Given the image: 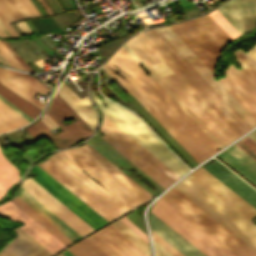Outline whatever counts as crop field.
Wrapping results in <instances>:
<instances>
[{
  "instance_id": "1",
  "label": "crop field",
  "mask_w": 256,
  "mask_h": 256,
  "mask_svg": "<svg viewBox=\"0 0 256 256\" xmlns=\"http://www.w3.org/2000/svg\"><path fill=\"white\" fill-rule=\"evenodd\" d=\"M101 113L175 171L181 177L189 168L177 160L168 148L144 125V123L129 110L102 98L107 107L100 102L99 98L91 90ZM103 116L101 131L106 142L133 162L137 167L154 179L165 189L177 181L180 176Z\"/></svg>"
},
{
  "instance_id": "2",
  "label": "crop field",
  "mask_w": 256,
  "mask_h": 256,
  "mask_svg": "<svg viewBox=\"0 0 256 256\" xmlns=\"http://www.w3.org/2000/svg\"><path fill=\"white\" fill-rule=\"evenodd\" d=\"M126 43L225 146L239 138L140 34Z\"/></svg>"
},
{
  "instance_id": "3",
  "label": "crop field",
  "mask_w": 256,
  "mask_h": 256,
  "mask_svg": "<svg viewBox=\"0 0 256 256\" xmlns=\"http://www.w3.org/2000/svg\"><path fill=\"white\" fill-rule=\"evenodd\" d=\"M62 153L130 209L153 197L87 143Z\"/></svg>"
},
{
  "instance_id": "4",
  "label": "crop field",
  "mask_w": 256,
  "mask_h": 256,
  "mask_svg": "<svg viewBox=\"0 0 256 256\" xmlns=\"http://www.w3.org/2000/svg\"><path fill=\"white\" fill-rule=\"evenodd\" d=\"M256 251V227L190 175L174 187Z\"/></svg>"
},
{
  "instance_id": "5",
  "label": "crop field",
  "mask_w": 256,
  "mask_h": 256,
  "mask_svg": "<svg viewBox=\"0 0 256 256\" xmlns=\"http://www.w3.org/2000/svg\"><path fill=\"white\" fill-rule=\"evenodd\" d=\"M169 28L214 73L220 51L233 41L209 15L176 23Z\"/></svg>"
},
{
  "instance_id": "6",
  "label": "crop field",
  "mask_w": 256,
  "mask_h": 256,
  "mask_svg": "<svg viewBox=\"0 0 256 256\" xmlns=\"http://www.w3.org/2000/svg\"><path fill=\"white\" fill-rule=\"evenodd\" d=\"M153 31L249 130L256 125V120L237 100L218 81L213 80L216 75L168 27L153 29Z\"/></svg>"
},
{
  "instance_id": "7",
  "label": "crop field",
  "mask_w": 256,
  "mask_h": 256,
  "mask_svg": "<svg viewBox=\"0 0 256 256\" xmlns=\"http://www.w3.org/2000/svg\"><path fill=\"white\" fill-rule=\"evenodd\" d=\"M161 198L167 201L170 205L176 208L236 256H256V252L241 242L174 188L164 194Z\"/></svg>"
},
{
  "instance_id": "8",
  "label": "crop field",
  "mask_w": 256,
  "mask_h": 256,
  "mask_svg": "<svg viewBox=\"0 0 256 256\" xmlns=\"http://www.w3.org/2000/svg\"><path fill=\"white\" fill-rule=\"evenodd\" d=\"M162 199L156 201L151 212L194 246L207 256H235Z\"/></svg>"
},
{
  "instance_id": "9",
  "label": "crop field",
  "mask_w": 256,
  "mask_h": 256,
  "mask_svg": "<svg viewBox=\"0 0 256 256\" xmlns=\"http://www.w3.org/2000/svg\"><path fill=\"white\" fill-rule=\"evenodd\" d=\"M141 35L153 48L178 72V74L203 98V100L228 124L240 137L248 132L232 114L199 82V80L166 48L151 32ZM150 45V46H151Z\"/></svg>"
},
{
  "instance_id": "10",
  "label": "crop field",
  "mask_w": 256,
  "mask_h": 256,
  "mask_svg": "<svg viewBox=\"0 0 256 256\" xmlns=\"http://www.w3.org/2000/svg\"><path fill=\"white\" fill-rule=\"evenodd\" d=\"M31 170L38 176L34 178L37 183L87 222L91 227L96 229L108 223L63 185L56 181L52 176L45 172L41 167L36 165L32 167Z\"/></svg>"
},
{
  "instance_id": "11",
  "label": "crop field",
  "mask_w": 256,
  "mask_h": 256,
  "mask_svg": "<svg viewBox=\"0 0 256 256\" xmlns=\"http://www.w3.org/2000/svg\"><path fill=\"white\" fill-rule=\"evenodd\" d=\"M39 166H41L45 171L52 175L56 180L63 184L108 222L120 216L49 158L47 161L39 164Z\"/></svg>"
},
{
  "instance_id": "12",
  "label": "crop field",
  "mask_w": 256,
  "mask_h": 256,
  "mask_svg": "<svg viewBox=\"0 0 256 256\" xmlns=\"http://www.w3.org/2000/svg\"><path fill=\"white\" fill-rule=\"evenodd\" d=\"M218 81L256 119V83L243 71L232 64Z\"/></svg>"
},
{
  "instance_id": "13",
  "label": "crop field",
  "mask_w": 256,
  "mask_h": 256,
  "mask_svg": "<svg viewBox=\"0 0 256 256\" xmlns=\"http://www.w3.org/2000/svg\"><path fill=\"white\" fill-rule=\"evenodd\" d=\"M21 187L82 236L94 230L31 178L23 180Z\"/></svg>"
},
{
  "instance_id": "14",
  "label": "crop field",
  "mask_w": 256,
  "mask_h": 256,
  "mask_svg": "<svg viewBox=\"0 0 256 256\" xmlns=\"http://www.w3.org/2000/svg\"><path fill=\"white\" fill-rule=\"evenodd\" d=\"M235 145L256 160V142L251 138L247 136ZM235 145L223 151L218 156L256 186V161Z\"/></svg>"
},
{
  "instance_id": "15",
  "label": "crop field",
  "mask_w": 256,
  "mask_h": 256,
  "mask_svg": "<svg viewBox=\"0 0 256 256\" xmlns=\"http://www.w3.org/2000/svg\"><path fill=\"white\" fill-rule=\"evenodd\" d=\"M0 216L12 221H22L24 225L20 228L53 254L66 247L10 201L0 206Z\"/></svg>"
},
{
  "instance_id": "16",
  "label": "crop field",
  "mask_w": 256,
  "mask_h": 256,
  "mask_svg": "<svg viewBox=\"0 0 256 256\" xmlns=\"http://www.w3.org/2000/svg\"><path fill=\"white\" fill-rule=\"evenodd\" d=\"M190 175L249 221L256 215V209L254 207H252L249 203L243 200L240 196L230 190L202 167Z\"/></svg>"
},
{
  "instance_id": "17",
  "label": "crop field",
  "mask_w": 256,
  "mask_h": 256,
  "mask_svg": "<svg viewBox=\"0 0 256 256\" xmlns=\"http://www.w3.org/2000/svg\"><path fill=\"white\" fill-rule=\"evenodd\" d=\"M216 10L240 34L256 27V0H231Z\"/></svg>"
},
{
  "instance_id": "18",
  "label": "crop field",
  "mask_w": 256,
  "mask_h": 256,
  "mask_svg": "<svg viewBox=\"0 0 256 256\" xmlns=\"http://www.w3.org/2000/svg\"><path fill=\"white\" fill-rule=\"evenodd\" d=\"M0 83L41 110L44 107V104L40 103L32 95L37 91L46 93L49 88L38 82L37 79L29 76L27 73L0 68Z\"/></svg>"
},
{
  "instance_id": "19",
  "label": "crop field",
  "mask_w": 256,
  "mask_h": 256,
  "mask_svg": "<svg viewBox=\"0 0 256 256\" xmlns=\"http://www.w3.org/2000/svg\"><path fill=\"white\" fill-rule=\"evenodd\" d=\"M65 171H67L71 176L103 200L107 205L114 209L120 215L130 210L115 197L109 194L101 186L95 183L90 177H88L80 168H78L74 163L65 158L60 152L54 153L49 157Z\"/></svg>"
},
{
  "instance_id": "20",
  "label": "crop field",
  "mask_w": 256,
  "mask_h": 256,
  "mask_svg": "<svg viewBox=\"0 0 256 256\" xmlns=\"http://www.w3.org/2000/svg\"><path fill=\"white\" fill-rule=\"evenodd\" d=\"M256 208V191L215 159L202 166Z\"/></svg>"
},
{
  "instance_id": "21",
  "label": "crop field",
  "mask_w": 256,
  "mask_h": 256,
  "mask_svg": "<svg viewBox=\"0 0 256 256\" xmlns=\"http://www.w3.org/2000/svg\"><path fill=\"white\" fill-rule=\"evenodd\" d=\"M19 236L9 242L1 251L0 256H52L47 249L30 237L19 227L14 229Z\"/></svg>"
},
{
  "instance_id": "22",
  "label": "crop field",
  "mask_w": 256,
  "mask_h": 256,
  "mask_svg": "<svg viewBox=\"0 0 256 256\" xmlns=\"http://www.w3.org/2000/svg\"><path fill=\"white\" fill-rule=\"evenodd\" d=\"M53 119V121L59 126L61 127L63 130L57 132V133H53L51 130L54 129V127H58L52 120L51 118L47 115V114ZM45 113V115L39 119L41 122H43L47 127V128L43 123H41L40 121L35 122L33 125L48 139L50 140L55 147H65V146H70L72 145L74 142H76L78 139L71 133V131L54 115V113L48 108L47 112ZM48 120L53 124V126L46 120L47 118ZM46 119H45V118Z\"/></svg>"
},
{
  "instance_id": "23",
  "label": "crop field",
  "mask_w": 256,
  "mask_h": 256,
  "mask_svg": "<svg viewBox=\"0 0 256 256\" xmlns=\"http://www.w3.org/2000/svg\"><path fill=\"white\" fill-rule=\"evenodd\" d=\"M150 226L185 256H206L152 213H150Z\"/></svg>"
},
{
  "instance_id": "24",
  "label": "crop field",
  "mask_w": 256,
  "mask_h": 256,
  "mask_svg": "<svg viewBox=\"0 0 256 256\" xmlns=\"http://www.w3.org/2000/svg\"><path fill=\"white\" fill-rule=\"evenodd\" d=\"M56 93L94 130L97 118L88 97L79 100L63 82Z\"/></svg>"
},
{
  "instance_id": "25",
  "label": "crop field",
  "mask_w": 256,
  "mask_h": 256,
  "mask_svg": "<svg viewBox=\"0 0 256 256\" xmlns=\"http://www.w3.org/2000/svg\"><path fill=\"white\" fill-rule=\"evenodd\" d=\"M49 108L61 121L69 117L74 118L75 121L67 124V126L79 140L86 138L93 132L57 94H55Z\"/></svg>"
},
{
  "instance_id": "26",
  "label": "crop field",
  "mask_w": 256,
  "mask_h": 256,
  "mask_svg": "<svg viewBox=\"0 0 256 256\" xmlns=\"http://www.w3.org/2000/svg\"><path fill=\"white\" fill-rule=\"evenodd\" d=\"M17 196L25 201L28 205H30L34 210H36L39 214H41L73 241L82 237L50 210H48L45 206H43L40 202H38L34 197L27 193L24 189L21 188Z\"/></svg>"
},
{
  "instance_id": "27",
  "label": "crop field",
  "mask_w": 256,
  "mask_h": 256,
  "mask_svg": "<svg viewBox=\"0 0 256 256\" xmlns=\"http://www.w3.org/2000/svg\"><path fill=\"white\" fill-rule=\"evenodd\" d=\"M139 64H141L151 77L169 94V96L204 130V132L222 149L225 146L212 134V132L187 108V106L162 82V80L137 56L125 43L122 46Z\"/></svg>"
},
{
  "instance_id": "28",
  "label": "crop field",
  "mask_w": 256,
  "mask_h": 256,
  "mask_svg": "<svg viewBox=\"0 0 256 256\" xmlns=\"http://www.w3.org/2000/svg\"><path fill=\"white\" fill-rule=\"evenodd\" d=\"M86 238L107 256H134L103 229Z\"/></svg>"
},
{
  "instance_id": "29",
  "label": "crop field",
  "mask_w": 256,
  "mask_h": 256,
  "mask_svg": "<svg viewBox=\"0 0 256 256\" xmlns=\"http://www.w3.org/2000/svg\"><path fill=\"white\" fill-rule=\"evenodd\" d=\"M11 202H13L16 206H18L21 210H23L27 215H29L32 219H34L37 223H39L42 227H44L47 231H49L53 236H55L66 246L69 243L73 242L62 232H60L56 227H54L51 223H49L46 219H44L41 215H39L36 211H34L30 206L23 202L20 198L16 197L15 199L11 200Z\"/></svg>"
},
{
  "instance_id": "30",
  "label": "crop field",
  "mask_w": 256,
  "mask_h": 256,
  "mask_svg": "<svg viewBox=\"0 0 256 256\" xmlns=\"http://www.w3.org/2000/svg\"><path fill=\"white\" fill-rule=\"evenodd\" d=\"M29 123L0 100V134Z\"/></svg>"
},
{
  "instance_id": "31",
  "label": "crop field",
  "mask_w": 256,
  "mask_h": 256,
  "mask_svg": "<svg viewBox=\"0 0 256 256\" xmlns=\"http://www.w3.org/2000/svg\"><path fill=\"white\" fill-rule=\"evenodd\" d=\"M18 180L17 169L3 157L0 151V199L4 197L7 189Z\"/></svg>"
},
{
  "instance_id": "32",
  "label": "crop field",
  "mask_w": 256,
  "mask_h": 256,
  "mask_svg": "<svg viewBox=\"0 0 256 256\" xmlns=\"http://www.w3.org/2000/svg\"><path fill=\"white\" fill-rule=\"evenodd\" d=\"M0 94L33 119L41 111V110L34 107L32 104H30L29 102H27L23 98L19 97L18 95H16L15 93H13L12 91H10L9 89H7L6 87H4L1 84H0Z\"/></svg>"
},
{
  "instance_id": "33",
  "label": "crop field",
  "mask_w": 256,
  "mask_h": 256,
  "mask_svg": "<svg viewBox=\"0 0 256 256\" xmlns=\"http://www.w3.org/2000/svg\"><path fill=\"white\" fill-rule=\"evenodd\" d=\"M67 249L75 256H106L86 238Z\"/></svg>"
},
{
  "instance_id": "34",
  "label": "crop field",
  "mask_w": 256,
  "mask_h": 256,
  "mask_svg": "<svg viewBox=\"0 0 256 256\" xmlns=\"http://www.w3.org/2000/svg\"><path fill=\"white\" fill-rule=\"evenodd\" d=\"M111 224L115 226L121 233H123L129 240H131L137 247H139L145 254L148 256L150 255L148 244L120 219Z\"/></svg>"
},
{
  "instance_id": "35",
  "label": "crop field",
  "mask_w": 256,
  "mask_h": 256,
  "mask_svg": "<svg viewBox=\"0 0 256 256\" xmlns=\"http://www.w3.org/2000/svg\"><path fill=\"white\" fill-rule=\"evenodd\" d=\"M103 229L113 236L117 241H119L123 246H125L129 251H131L135 256H147L111 224Z\"/></svg>"
},
{
  "instance_id": "36",
  "label": "crop field",
  "mask_w": 256,
  "mask_h": 256,
  "mask_svg": "<svg viewBox=\"0 0 256 256\" xmlns=\"http://www.w3.org/2000/svg\"><path fill=\"white\" fill-rule=\"evenodd\" d=\"M209 15L233 40L240 35L216 10L210 12Z\"/></svg>"
},
{
  "instance_id": "37",
  "label": "crop field",
  "mask_w": 256,
  "mask_h": 256,
  "mask_svg": "<svg viewBox=\"0 0 256 256\" xmlns=\"http://www.w3.org/2000/svg\"><path fill=\"white\" fill-rule=\"evenodd\" d=\"M15 20L28 17L17 0H2Z\"/></svg>"
},
{
  "instance_id": "38",
  "label": "crop field",
  "mask_w": 256,
  "mask_h": 256,
  "mask_svg": "<svg viewBox=\"0 0 256 256\" xmlns=\"http://www.w3.org/2000/svg\"><path fill=\"white\" fill-rule=\"evenodd\" d=\"M0 20L6 27V29L9 31V33L12 35H18L13 28L7 23L11 21H15L14 18L11 16L7 8L4 6L2 1L0 0Z\"/></svg>"
},
{
  "instance_id": "39",
  "label": "crop field",
  "mask_w": 256,
  "mask_h": 256,
  "mask_svg": "<svg viewBox=\"0 0 256 256\" xmlns=\"http://www.w3.org/2000/svg\"><path fill=\"white\" fill-rule=\"evenodd\" d=\"M0 53L5 57V59L11 64L12 67L25 70L19 62L13 57V55L8 51V49L0 41ZM27 71V70H26Z\"/></svg>"
},
{
  "instance_id": "40",
  "label": "crop field",
  "mask_w": 256,
  "mask_h": 256,
  "mask_svg": "<svg viewBox=\"0 0 256 256\" xmlns=\"http://www.w3.org/2000/svg\"><path fill=\"white\" fill-rule=\"evenodd\" d=\"M29 17L39 16L40 13L30 0H18Z\"/></svg>"
},
{
  "instance_id": "41",
  "label": "crop field",
  "mask_w": 256,
  "mask_h": 256,
  "mask_svg": "<svg viewBox=\"0 0 256 256\" xmlns=\"http://www.w3.org/2000/svg\"><path fill=\"white\" fill-rule=\"evenodd\" d=\"M238 52L251 64V66L256 70V47L246 53L242 49Z\"/></svg>"
},
{
  "instance_id": "42",
  "label": "crop field",
  "mask_w": 256,
  "mask_h": 256,
  "mask_svg": "<svg viewBox=\"0 0 256 256\" xmlns=\"http://www.w3.org/2000/svg\"><path fill=\"white\" fill-rule=\"evenodd\" d=\"M152 234H153L154 239H156L159 243H161L163 246H165L173 254H175L176 256H184L182 253H180L178 250H176L173 246H171L169 243H167L164 239H162L155 232L152 231Z\"/></svg>"
},
{
  "instance_id": "43",
  "label": "crop field",
  "mask_w": 256,
  "mask_h": 256,
  "mask_svg": "<svg viewBox=\"0 0 256 256\" xmlns=\"http://www.w3.org/2000/svg\"><path fill=\"white\" fill-rule=\"evenodd\" d=\"M3 42V44L9 49V51L14 55V57L20 62V64L26 68L28 71L30 72H35L33 71L30 67H28L23 61L22 59L17 55V53L10 47V45L7 43L6 40H1Z\"/></svg>"
},
{
  "instance_id": "44",
  "label": "crop field",
  "mask_w": 256,
  "mask_h": 256,
  "mask_svg": "<svg viewBox=\"0 0 256 256\" xmlns=\"http://www.w3.org/2000/svg\"><path fill=\"white\" fill-rule=\"evenodd\" d=\"M121 220L125 222L133 231H135L143 240L148 243L146 235L142 233L137 227H135L129 220H127L125 217L121 218Z\"/></svg>"
},
{
  "instance_id": "45",
  "label": "crop field",
  "mask_w": 256,
  "mask_h": 256,
  "mask_svg": "<svg viewBox=\"0 0 256 256\" xmlns=\"http://www.w3.org/2000/svg\"><path fill=\"white\" fill-rule=\"evenodd\" d=\"M25 129L28 131V133L33 137V139H34L35 141L38 140V139H40L41 137H43V136L40 134V132H39L33 125H31V126L25 128Z\"/></svg>"
},
{
  "instance_id": "46",
  "label": "crop field",
  "mask_w": 256,
  "mask_h": 256,
  "mask_svg": "<svg viewBox=\"0 0 256 256\" xmlns=\"http://www.w3.org/2000/svg\"><path fill=\"white\" fill-rule=\"evenodd\" d=\"M156 251H157V256H174L170 252H168L165 248H163L160 244H158L156 241H154Z\"/></svg>"
},
{
  "instance_id": "47",
  "label": "crop field",
  "mask_w": 256,
  "mask_h": 256,
  "mask_svg": "<svg viewBox=\"0 0 256 256\" xmlns=\"http://www.w3.org/2000/svg\"><path fill=\"white\" fill-rule=\"evenodd\" d=\"M0 99L5 102L8 106H10L13 110H15L17 113H19L22 117H24L26 120H28L29 122L32 120L31 118H29L27 115H25L23 112H21L19 109H17L16 107H14L12 104H10L9 102H7L5 99H3L2 97H0Z\"/></svg>"
},
{
  "instance_id": "48",
  "label": "crop field",
  "mask_w": 256,
  "mask_h": 256,
  "mask_svg": "<svg viewBox=\"0 0 256 256\" xmlns=\"http://www.w3.org/2000/svg\"><path fill=\"white\" fill-rule=\"evenodd\" d=\"M20 29L23 31L24 34H33L32 31L29 29L25 21L17 23Z\"/></svg>"
},
{
  "instance_id": "49",
  "label": "crop field",
  "mask_w": 256,
  "mask_h": 256,
  "mask_svg": "<svg viewBox=\"0 0 256 256\" xmlns=\"http://www.w3.org/2000/svg\"><path fill=\"white\" fill-rule=\"evenodd\" d=\"M40 3L42 4V6L45 8V10L47 11L48 15H51L52 12L49 10V8L46 6V4L43 2V0H39Z\"/></svg>"
},
{
  "instance_id": "50",
  "label": "crop field",
  "mask_w": 256,
  "mask_h": 256,
  "mask_svg": "<svg viewBox=\"0 0 256 256\" xmlns=\"http://www.w3.org/2000/svg\"><path fill=\"white\" fill-rule=\"evenodd\" d=\"M65 256H74L71 252H69L67 249L61 252Z\"/></svg>"
},
{
  "instance_id": "51",
  "label": "crop field",
  "mask_w": 256,
  "mask_h": 256,
  "mask_svg": "<svg viewBox=\"0 0 256 256\" xmlns=\"http://www.w3.org/2000/svg\"><path fill=\"white\" fill-rule=\"evenodd\" d=\"M0 63L10 66L9 63L1 55H0Z\"/></svg>"
},
{
  "instance_id": "52",
  "label": "crop field",
  "mask_w": 256,
  "mask_h": 256,
  "mask_svg": "<svg viewBox=\"0 0 256 256\" xmlns=\"http://www.w3.org/2000/svg\"><path fill=\"white\" fill-rule=\"evenodd\" d=\"M248 136L256 141V130L254 132H252L251 134H249Z\"/></svg>"
},
{
  "instance_id": "53",
  "label": "crop field",
  "mask_w": 256,
  "mask_h": 256,
  "mask_svg": "<svg viewBox=\"0 0 256 256\" xmlns=\"http://www.w3.org/2000/svg\"><path fill=\"white\" fill-rule=\"evenodd\" d=\"M0 25H1V27L3 28V30L5 31V33L7 34V36H10V34H9L8 31L5 29V27L3 26V24L1 23V21H0Z\"/></svg>"
},
{
  "instance_id": "54",
  "label": "crop field",
  "mask_w": 256,
  "mask_h": 256,
  "mask_svg": "<svg viewBox=\"0 0 256 256\" xmlns=\"http://www.w3.org/2000/svg\"><path fill=\"white\" fill-rule=\"evenodd\" d=\"M0 36H6V34L4 33V31L1 29V27H0Z\"/></svg>"
},
{
  "instance_id": "55",
  "label": "crop field",
  "mask_w": 256,
  "mask_h": 256,
  "mask_svg": "<svg viewBox=\"0 0 256 256\" xmlns=\"http://www.w3.org/2000/svg\"><path fill=\"white\" fill-rule=\"evenodd\" d=\"M57 256H63V255L60 253V254H58Z\"/></svg>"
},
{
  "instance_id": "56",
  "label": "crop field",
  "mask_w": 256,
  "mask_h": 256,
  "mask_svg": "<svg viewBox=\"0 0 256 256\" xmlns=\"http://www.w3.org/2000/svg\"><path fill=\"white\" fill-rule=\"evenodd\" d=\"M254 222L256 223V220Z\"/></svg>"
}]
</instances>
